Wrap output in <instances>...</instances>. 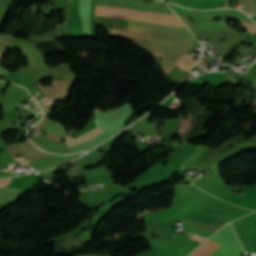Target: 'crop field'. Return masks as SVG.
Wrapping results in <instances>:
<instances>
[{
  "mask_svg": "<svg viewBox=\"0 0 256 256\" xmlns=\"http://www.w3.org/2000/svg\"><path fill=\"white\" fill-rule=\"evenodd\" d=\"M7 72H8L7 70H5V69H3V68L0 67V74L4 75V74H6Z\"/></svg>",
  "mask_w": 256,
  "mask_h": 256,
  "instance_id": "obj_8",
  "label": "crop field"
},
{
  "mask_svg": "<svg viewBox=\"0 0 256 256\" xmlns=\"http://www.w3.org/2000/svg\"><path fill=\"white\" fill-rule=\"evenodd\" d=\"M103 182V180L102 181H98V182H94V183H90L89 185H93V184H98V183H102ZM103 184V183H102ZM99 185V184H98ZM93 186H95V185H93ZM90 187H92V186H90Z\"/></svg>",
  "mask_w": 256,
  "mask_h": 256,
  "instance_id": "obj_10",
  "label": "crop field"
},
{
  "mask_svg": "<svg viewBox=\"0 0 256 256\" xmlns=\"http://www.w3.org/2000/svg\"><path fill=\"white\" fill-rule=\"evenodd\" d=\"M105 182H110V180H109V179H107V180H105Z\"/></svg>",
  "mask_w": 256,
  "mask_h": 256,
  "instance_id": "obj_11",
  "label": "crop field"
},
{
  "mask_svg": "<svg viewBox=\"0 0 256 256\" xmlns=\"http://www.w3.org/2000/svg\"><path fill=\"white\" fill-rule=\"evenodd\" d=\"M11 182V178L0 180V187H3Z\"/></svg>",
  "mask_w": 256,
  "mask_h": 256,
  "instance_id": "obj_7",
  "label": "crop field"
},
{
  "mask_svg": "<svg viewBox=\"0 0 256 256\" xmlns=\"http://www.w3.org/2000/svg\"><path fill=\"white\" fill-rule=\"evenodd\" d=\"M183 57H184L185 59L189 60L191 63L196 62L194 59L190 58V57L187 56L186 54L183 55ZM183 57H180V59H179L178 61L181 62V63H183V64H185V65H187V66H189V67H191L192 64H191L190 62L186 61ZM179 62H177V65H178V66L182 67L183 69H185V70H187V71L189 70V67H187V66H185V65H183V64H181V63H179ZM178 66L175 65L174 68H176L177 70H179V71H180L181 73H183V74L187 72V71L181 69V68L178 67Z\"/></svg>",
  "mask_w": 256,
  "mask_h": 256,
  "instance_id": "obj_5",
  "label": "crop field"
},
{
  "mask_svg": "<svg viewBox=\"0 0 256 256\" xmlns=\"http://www.w3.org/2000/svg\"><path fill=\"white\" fill-rule=\"evenodd\" d=\"M95 15L185 27L184 24L176 16H172V15L148 13V12L109 8V7H99V6H95Z\"/></svg>",
  "mask_w": 256,
  "mask_h": 256,
  "instance_id": "obj_1",
  "label": "crop field"
},
{
  "mask_svg": "<svg viewBox=\"0 0 256 256\" xmlns=\"http://www.w3.org/2000/svg\"><path fill=\"white\" fill-rule=\"evenodd\" d=\"M224 212L226 214L227 220H232V219H236L242 215H245L251 211L246 210V209H235V210H227Z\"/></svg>",
  "mask_w": 256,
  "mask_h": 256,
  "instance_id": "obj_6",
  "label": "crop field"
},
{
  "mask_svg": "<svg viewBox=\"0 0 256 256\" xmlns=\"http://www.w3.org/2000/svg\"><path fill=\"white\" fill-rule=\"evenodd\" d=\"M155 214H159L162 221L173 218V217L180 216L179 212H178V209H177V205L173 206V207H170L168 209L162 210L159 213L153 212V213L145 214L144 216L155 215Z\"/></svg>",
  "mask_w": 256,
  "mask_h": 256,
  "instance_id": "obj_4",
  "label": "crop field"
},
{
  "mask_svg": "<svg viewBox=\"0 0 256 256\" xmlns=\"http://www.w3.org/2000/svg\"><path fill=\"white\" fill-rule=\"evenodd\" d=\"M102 131H104V129H101L100 127H96L95 129L77 137L76 139H72V136H67L66 138V143L68 145V147L75 145L77 143L89 140L91 138H93L94 136H96L97 134L101 133Z\"/></svg>",
  "mask_w": 256,
  "mask_h": 256,
  "instance_id": "obj_3",
  "label": "crop field"
},
{
  "mask_svg": "<svg viewBox=\"0 0 256 256\" xmlns=\"http://www.w3.org/2000/svg\"><path fill=\"white\" fill-rule=\"evenodd\" d=\"M15 160H17V161H19V162H24V163H26V164H29V163H27V162H25V161H23V160H21V159H19V158H16V157H13Z\"/></svg>",
  "mask_w": 256,
  "mask_h": 256,
  "instance_id": "obj_9",
  "label": "crop field"
},
{
  "mask_svg": "<svg viewBox=\"0 0 256 256\" xmlns=\"http://www.w3.org/2000/svg\"><path fill=\"white\" fill-rule=\"evenodd\" d=\"M127 106L128 104L125 103L123 106L105 113L96 110L95 116L99 122V126L107 128Z\"/></svg>",
  "mask_w": 256,
  "mask_h": 256,
  "instance_id": "obj_2",
  "label": "crop field"
}]
</instances>
